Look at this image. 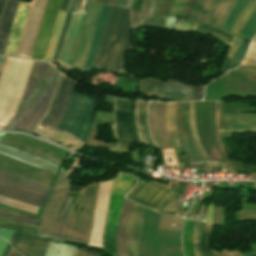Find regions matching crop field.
I'll list each match as a JSON object with an SVG mask.
<instances>
[{
	"instance_id": "1",
	"label": "crop field",
	"mask_w": 256,
	"mask_h": 256,
	"mask_svg": "<svg viewBox=\"0 0 256 256\" xmlns=\"http://www.w3.org/2000/svg\"><path fill=\"white\" fill-rule=\"evenodd\" d=\"M58 76L48 63L35 61L19 109L4 130L31 134L48 108Z\"/></svg>"
},
{
	"instance_id": "2",
	"label": "crop field",
	"mask_w": 256,
	"mask_h": 256,
	"mask_svg": "<svg viewBox=\"0 0 256 256\" xmlns=\"http://www.w3.org/2000/svg\"><path fill=\"white\" fill-rule=\"evenodd\" d=\"M69 176V173H61L56 189L45 212L38 234L58 239L61 238L69 207L73 199H68V203L64 211L68 192L71 186V184L67 182Z\"/></svg>"
},
{
	"instance_id": "3",
	"label": "crop field",
	"mask_w": 256,
	"mask_h": 256,
	"mask_svg": "<svg viewBox=\"0 0 256 256\" xmlns=\"http://www.w3.org/2000/svg\"><path fill=\"white\" fill-rule=\"evenodd\" d=\"M96 101L73 92L66 115L57 129L69 132L86 142Z\"/></svg>"
},
{
	"instance_id": "4",
	"label": "crop field",
	"mask_w": 256,
	"mask_h": 256,
	"mask_svg": "<svg viewBox=\"0 0 256 256\" xmlns=\"http://www.w3.org/2000/svg\"><path fill=\"white\" fill-rule=\"evenodd\" d=\"M134 176H127L118 173L112 182L109 206L107 211L104 235L103 249L115 256V235L118 223L122 197L132 186Z\"/></svg>"
},
{
	"instance_id": "5",
	"label": "crop field",
	"mask_w": 256,
	"mask_h": 256,
	"mask_svg": "<svg viewBox=\"0 0 256 256\" xmlns=\"http://www.w3.org/2000/svg\"><path fill=\"white\" fill-rule=\"evenodd\" d=\"M112 30L101 68L120 71L122 52L131 46L129 10L119 9Z\"/></svg>"
},
{
	"instance_id": "6",
	"label": "crop field",
	"mask_w": 256,
	"mask_h": 256,
	"mask_svg": "<svg viewBox=\"0 0 256 256\" xmlns=\"http://www.w3.org/2000/svg\"><path fill=\"white\" fill-rule=\"evenodd\" d=\"M235 2L236 0H197L188 19L194 21L203 7L196 22L219 29Z\"/></svg>"
},
{
	"instance_id": "7",
	"label": "crop field",
	"mask_w": 256,
	"mask_h": 256,
	"mask_svg": "<svg viewBox=\"0 0 256 256\" xmlns=\"http://www.w3.org/2000/svg\"><path fill=\"white\" fill-rule=\"evenodd\" d=\"M72 12H68L61 34H60V38L53 56V61H57L58 56H59V52L63 43V39L66 33V29L70 20V16H71ZM86 13H80V12H73L72 16H71V20L67 29V33L64 39V43L60 52V56H59V61L61 64H65V65H70L71 59H72V55L77 43V39L83 24V20L85 17ZM59 63V62H58Z\"/></svg>"
},
{
	"instance_id": "8",
	"label": "crop field",
	"mask_w": 256,
	"mask_h": 256,
	"mask_svg": "<svg viewBox=\"0 0 256 256\" xmlns=\"http://www.w3.org/2000/svg\"><path fill=\"white\" fill-rule=\"evenodd\" d=\"M102 6L101 4L88 2L87 14L70 67L79 69L84 67Z\"/></svg>"
},
{
	"instance_id": "9",
	"label": "crop field",
	"mask_w": 256,
	"mask_h": 256,
	"mask_svg": "<svg viewBox=\"0 0 256 256\" xmlns=\"http://www.w3.org/2000/svg\"><path fill=\"white\" fill-rule=\"evenodd\" d=\"M204 87L195 88L143 79V94L168 99H201Z\"/></svg>"
},
{
	"instance_id": "10",
	"label": "crop field",
	"mask_w": 256,
	"mask_h": 256,
	"mask_svg": "<svg viewBox=\"0 0 256 256\" xmlns=\"http://www.w3.org/2000/svg\"><path fill=\"white\" fill-rule=\"evenodd\" d=\"M0 171L21 177L23 179L52 187L55 175L24 165L0 155Z\"/></svg>"
},
{
	"instance_id": "11",
	"label": "crop field",
	"mask_w": 256,
	"mask_h": 256,
	"mask_svg": "<svg viewBox=\"0 0 256 256\" xmlns=\"http://www.w3.org/2000/svg\"><path fill=\"white\" fill-rule=\"evenodd\" d=\"M132 105L133 101L116 99L115 117L120 147H129L130 141H136Z\"/></svg>"
},
{
	"instance_id": "12",
	"label": "crop field",
	"mask_w": 256,
	"mask_h": 256,
	"mask_svg": "<svg viewBox=\"0 0 256 256\" xmlns=\"http://www.w3.org/2000/svg\"><path fill=\"white\" fill-rule=\"evenodd\" d=\"M64 0H48L43 19L30 58L42 59L45 46L56 15L55 10H61Z\"/></svg>"
},
{
	"instance_id": "13",
	"label": "crop field",
	"mask_w": 256,
	"mask_h": 256,
	"mask_svg": "<svg viewBox=\"0 0 256 256\" xmlns=\"http://www.w3.org/2000/svg\"><path fill=\"white\" fill-rule=\"evenodd\" d=\"M74 85L75 83L61 77L55 101L43 125L56 128L65 115Z\"/></svg>"
},
{
	"instance_id": "14",
	"label": "crop field",
	"mask_w": 256,
	"mask_h": 256,
	"mask_svg": "<svg viewBox=\"0 0 256 256\" xmlns=\"http://www.w3.org/2000/svg\"><path fill=\"white\" fill-rule=\"evenodd\" d=\"M216 122L219 130H241L256 132V114L221 113L220 102H217Z\"/></svg>"
},
{
	"instance_id": "15",
	"label": "crop field",
	"mask_w": 256,
	"mask_h": 256,
	"mask_svg": "<svg viewBox=\"0 0 256 256\" xmlns=\"http://www.w3.org/2000/svg\"><path fill=\"white\" fill-rule=\"evenodd\" d=\"M188 102L177 103L176 124L182 149L189 162L201 161L191 140L187 124Z\"/></svg>"
},
{
	"instance_id": "16",
	"label": "crop field",
	"mask_w": 256,
	"mask_h": 256,
	"mask_svg": "<svg viewBox=\"0 0 256 256\" xmlns=\"http://www.w3.org/2000/svg\"><path fill=\"white\" fill-rule=\"evenodd\" d=\"M0 195L34 206L43 207L47 195L0 180Z\"/></svg>"
},
{
	"instance_id": "17",
	"label": "crop field",
	"mask_w": 256,
	"mask_h": 256,
	"mask_svg": "<svg viewBox=\"0 0 256 256\" xmlns=\"http://www.w3.org/2000/svg\"><path fill=\"white\" fill-rule=\"evenodd\" d=\"M132 203L125 200L121 212L120 224L117 235L118 256L126 255V235ZM128 256H139L138 243H127Z\"/></svg>"
},
{
	"instance_id": "18",
	"label": "crop field",
	"mask_w": 256,
	"mask_h": 256,
	"mask_svg": "<svg viewBox=\"0 0 256 256\" xmlns=\"http://www.w3.org/2000/svg\"><path fill=\"white\" fill-rule=\"evenodd\" d=\"M30 7L19 3L3 54L15 56Z\"/></svg>"
},
{
	"instance_id": "19",
	"label": "crop field",
	"mask_w": 256,
	"mask_h": 256,
	"mask_svg": "<svg viewBox=\"0 0 256 256\" xmlns=\"http://www.w3.org/2000/svg\"><path fill=\"white\" fill-rule=\"evenodd\" d=\"M96 186H97V184L87 186L82 216H81L80 224H79V227H78V230L76 233V237L74 240L76 242L86 244L88 231H89V227H90V219H91L93 202H94V197H95V192H96Z\"/></svg>"
},
{
	"instance_id": "20",
	"label": "crop field",
	"mask_w": 256,
	"mask_h": 256,
	"mask_svg": "<svg viewBox=\"0 0 256 256\" xmlns=\"http://www.w3.org/2000/svg\"><path fill=\"white\" fill-rule=\"evenodd\" d=\"M5 133H0V138L4 135ZM0 153L7 155L9 157L15 158L17 160L26 162L28 164L34 165L36 167L42 168L44 170L50 171L54 174H57V169L59 166L54 165L44 159H41L39 157L33 156L31 154H28L24 151L6 146L4 144L0 143Z\"/></svg>"
},
{
	"instance_id": "21",
	"label": "crop field",
	"mask_w": 256,
	"mask_h": 256,
	"mask_svg": "<svg viewBox=\"0 0 256 256\" xmlns=\"http://www.w3.org/2000/svg\"><path fill=\"white\" fill-rule=\"evenodd\" d=\"M171 191L149 182L141 191H139L131 200L153 209L159 204Z\"/></svg>"
},
{
	"instance_id": "22",
	"label": "crop field",
	"mask_w": 256,
	"mask_h": 256,
	"mask_svg": "<svg viewBox=\"0 0 256 256\" xmlns=\"http://www.w3.org/2000/svg\"><path fill=\"white\" fill-rule=\"evenodd\" d=\"M212 225L196 221L194 230L195 256H212L209 250Z\"/></svg>"
},
{
	"instance_id": "23",
	"label": "crop field",
	"mask_w": 256,
	"mask_h": 256,
	"mask_svg": "<svg viewBox=\"0 0 256 256\" xmlns=\"http://www.w3.org/2000/svg\"><path fill=\"white\" fill-rule=\"evenodd\" d=\"M48 242L23 233L15 248L24 256H43Z\"/></svg>"
},
{
	"instance_id": "24",
	"label": "crop field",
	"mask_w": 256,
	"mask_h": 256,
	"mask_svg": "<svg viewBox=\"0 0 256 256\" xmlns=\"http://www.w3.org/2000/svg\"><path fill=\"white\" fill-rule=\"evenodd\" d=\"M18 1L8 0L0 23V54L3 53L6 40L15 16Z\"/></svg>"
},
{
	"instance_id": "25",
	"label": "crop field",
	"mask_w": 256,
	"mask_h": 256,
	"mask_svg": "<svg viewBox=\"0 0 256 256\" xmlns=\"http://www.w3.org/2000/svg\"><path fill=\"white\" fill-rule=\"evenodd\" d=\"M111 6L104 5L84 68L92 67Z\"/></svg>"
},
{
	"instance_id": "26",
	"label": "crop field",
	"mask_w": 256,
	"mask_h": 256,
	"mask_svg": "<svg viewBox=\"0 0 256 256\" xmlns=\"http://www.w3.org/2000/svg\"><path fill=\"white\" fill-rule=\"evenodd\" d=\"M176 103H166L165 128L170 148L180 147L175 133Z\"/></svg>"
},
{
	"instance_id": "27",
	"label": "crop field",
	"mask_w": 256,
	"mask_h": 256,
	"mask_svg": "<svg viewBox=\"0 0 256 256\" xmlns=\"http://www.w3.org/2000/svg\"><path fill=\"white\" fill-rule=\"evenodd\" d=\"M143 210H144L143 207L133 203L128 235H127V242H138V235H139Z\"/></svg>"
},
{
	"instance_id": "28",
	"label": "crop field",
	"mask_w": 256,
	"mask_h": 256,
	"mask_svg": "<svg viewBox=\"0 0 256 256\" xmlns=\"http://www.w3.org/2000/svg\"><path fill=\"white\" fill-rule=\"evenodd\" d=\"M66 13L67 12H61V11L58 12V15H57V18L55 21V25H54V28H53V31H52V34H51V37H50V40H49V43L47 46V50H46L43 60L50 61L52 59Z\"/></svg>"
},
{
	"instance_id": "29",
	"label": "crop field",
	"mask_w": 256,
	"mask_h": 256,
	"mask_svg": "<svg viewBox=\"0 0 256 256\" xmlns=\"http://www.w3.org/2000/svg\"><path fill=\"white\" fill-rule=\"evenodd\" d=\"M144 107H145V102H135L134 115L136 120L139 142L145 143L148 145L145 127H144Z\"/></svg>"
},
{
	"instance_id": "30",
	"label": "crop field",
	"mask_w": 256,
	"mask_h": 256,
	"mask_svg": "<svg viewBox=\"0 0 256 256\" xmlns=\"http://www.w3.org/2000/svg\"><path fill=\"white\" fill-rule=\"evenodd\" d=\"M75 207L72 204L69 217L67 219L66 225L63 230L62 238L63 240H74L75 232L78 227L80 215L74 213Z\"/></svg>"
},
{
	"instance_id": "31",
	"label": "crop field",
	"mask_w": 256,
	"mask_h": 256,
	"mask_svg": "<svg viewBox=\"0 0 256 256\" xmlns=\"http://www.w3.org/2000/svg\"><path fill=\"white\" fill-rule=\"evenodd\" d=\"M195 111H196V102H190L189 123L192 131L194 143L202 161H206L208 159L199 143V136H198L197 127L195 123Z\"/></svg>"
},
{
	"instance_id": "32",
	"label": "crop field",
	"mask_w": 256,
	"mask_h": 256,
	"mask_svg": "<svg viewBox=\"0 0 256 256\" xmlns=\"http://www.w3.org/2000/svg\"><path fill=\"white\" fill-rule=\"evenodd\" d=\"M0 212L10 214V215H14V216H18V217H22V218H26V219H30V220H34L36 222L38 220V217L23 214V213L16 212V211L9 210V209L2 208V207H0ZM2 213H0V218H4V219H7V220H11V221H15V222H19V223H23V224H27V225H31V226L36 227V222H34V221H30V220H26V219L14 217V216L2 214Z\"/></svg>"
},
{
	"instance_id": "33",
	"label": "crop field",
	"mask_w": 256,
	"mask_h": 256,
	"mask_svg": "<svg viewBox=\"0 0 256 256\" xmlns=\"http://www.w3.org/2000/svg\"><path fill=\"white\" fill-rule=\"evenodd\" d=\"M250 0H237L236 4L234 5L233 9L231 10L228 18L223 23L221 30L229 32L231 28L234 26L235 22L237 21L241 11L246 6V4Z\"/></svg>"
},
{
	"instance_id": "34",
	"label": "crop field",
	"mask_w": 256,
	"mask_h": 256,
	"mask_svg": "<svg viewBox=\"0 0 256 256\" xmlns=\"http://www.w3.org/2000/svg\"><path fill=\"white\" fill-rule=\"evenodd\" d=\"M77 248L64 244L49 243L45 256H74Z\"/></svg>"
},
{
	"instance_id": "35",
	"label": "crop field",
	"mask_w": 256,
	"mask_h": 256,
	"mask_svg": "<svg viewBox=\"0 0 256 256\" xmlns=\"http://www.w3.org/2000/svg\"><path fill=\"white\" fill-rule=\"evenodd\" d=\"M116 8L117 7H114V6L111 7L110 14H109V17H108V20H107V23H106V27H105V30H104V33H103V37H102V40H101L99 50H98V53H97V56H96L95 63H94L93 67H97V68L99 67V64H100V61H101V58H102V54H103V51H104V48H105V45H106V42H107V39H108L110 29H111V25H112V22H113V18H114L115 12H116Z\"/></svg>"
},
{
	"instance_id": "36",
	"label": "crop field",
	"mask_w": 256,
	"mask_h": 256,
	"mask_svg": "<svg viewBox=\"0 0 256 256\" xmlns=\"http://www.w3.org/2000/svg\"><path fill=\"white\" fill-rule=\"evenodd\" d=\"M194 221L185 219L183 227V253L185 256H194L192 252V229Z\"/></svg>"
},
{
	"instance_id": "37",
	"label": "crop field",
	"mask_w": 256,
	"mask_h": 256,
	"mask_svg": "<svg viewBox=\"0 0 256 256\" xmlns=\"http://www.w3.org/2000/svg\"><path fill=\"white\" fill-rule=\"evenodd\" d=\"M156 0H143L141 13L131 11L132 26L138 25V19L151 17L153 15Z\"/></svg>"
},
{
	"instance_id": "38",
	"label": "crop field",
	"mask_w": 256,
	"mask_h": 256,
	"mask_svg": "<svg viewBox=\"0 0 256 256\" xmlns=\"http://www.w3.org/2000/svg\"><path fill=\"white\" fill-rule=\"evenodd\" d=\"M0 179L6 180V181H9L12 183H16V184H19V185H22V186H25V187H28V188H31L34 190H38V191H41V192H44L47 194L50 191V188H47V187H44V186L29 182V181H26V180H23V179H20V178H17V177L8 175V174H5L2 172H0Z\"/></svg>"
},
{
	"instance_id": "39",
	"label": "crop field",
	"mask_w": 256,
	"mask_h": 256,
	"mask_svg": "<svg viewBox=\"0 0 256 256\" xmlns=\"http://www.w3.org/2000/svg\"><path fill=\"white\" fill-rule=\"evenodd\" d=\"M256 7V0H251L240 15L236 25L232 28L230 33L239 34L245 25L247 19Z\"/></svg>"
},
{
	"instance_id": "40",
	"label": "crop field",
	"mask_w": 256,
	"mask_h": 256,
	"mask_svg": "<svg viewBox=\"0 0 256 256\" xmlns=\"http://www.w3.org/2000/svg\"><path fill=\"white\" fill-rule=\"evenodd\" d=\"M193 30L215 35L220 39H222L223 41L227 42L229 45L232 42L233 38L235 37L234 34L226 33V32H223L211 27L203 26L197 23H195Z\"/></svg>"
},
{
	"instance_id": "41",
	"label": "crop field",
	"mask_w": 256,
	"mask_h": 256,
	"mask_svg": "<svg viewBox=\"0 0 256 256\" xmlns=\"http://www.w3.org/2000/svg\"><path fill=\"white\" fill-rule=\"evenodd\" d=\"M0 142L5 143V144H9V145H12V146H15V147H18V148H21V149H23V150H25V151H28V152H30V153H33V154H35V155H37V156H40V157H42V158H44V159L50 160V161L55 162V163H57V164H60V163H61L60 160H58V159H56V158H54V157H52V156H50V155H48V154H46V153H43V152L37 151V150H35V149H32V148H29V147H26V146H23V145L14 143V142H12V141H9V140H6V139L1 138V139H0Z\"/></svg>"
},
{
	"instance_id": "42",
	"label": "crop field",
	"mask_w": 256,
	"mask_h": 256,
	"mask_svg": "<svg viewBox=\"0 0 256 256\" xmlns=\"http://www.w3.org/2000/svg\"><path fill=\"white\" fill-rule=\"evenodd\" d=\"M0 226L1 227H5V228H9V229H13V230H17L20 232H24L27 234H31L34 235L35 232V227H31V226H27V225H23V224H19V223H15V222H11V221H7L4 219H0Z\"/></svg>"
},
{
	"instance_id": "43",
	"label": "crop field",
	"mask_w": 256,
	"mask_h": 256,
	"mask_svg": "<svg viewBox=\"0 0 256 256\" xmlns=\"http://www.w3.org/2000/svg\"><path fill=\"white\" fill-rule=\"evenodd\" d=\"M251 39L250 38H245L243 39L242 43L240 44L238 50L236 51L230 65H229V69H232L236 66L239 65L243 55H245L246 51H247V48H248V45L250 43Z\"/></svg>"
},
{
	"instance_id": "44",
	"label": "crop field",
	"mask_w": 256,
	"mask_h": 256,
	"mask_svg": "<svg viewBox=\"0 0 256 256\" xmlns=\"http://www.w3.org/2000/svg\"><path fill=\"white\" fill-rule=\"evenodd\" d=\"M0 203L8 205V206L15 207V208H18V209H22V210H25V211H28V212H32V213H35V214L37 213V211L39 209L38 207H34V206H31V205L24 204V203L14 201V200H11V199H8V198H4V197H1V196H0Z\"/></svg>"
},
{
	"instance_id": "45",
	"label": "crop field",
	"mask_w": 256,
	"mask_h": 256,
	"mask_svg": "<svg viewBox=\"0 0 256 256\" xmlns=\"http://www.w3.org/2000/svg\"><path fill=\"white\" fill-rule=\"evenodd\" d=\"M256 33V9L246 25L244 26L243 30L241 31L240 35L252 38Z\"/></svg>"
},
{
	"instance_id": "46",
	"label": "crop field",
	"mask_w": 256,
	"mask_h": 256,
	"mask_svg": "<svg viewBox=\"0 0 256 256\" xmlns=\"http://www.w3.org/2000/svg\"><path fill=\"white\" fill-rule=\"evenodd\" d=\"M172 2L173 0H162L159 17L169 14V10L172 5Z\"/></svg>"
},
{
	"instance_id": "47",
	"label": "crop field",
	"mask_w": 256,
	"mask_h": 256,
	"mask_svg": "<svg viewBox=\"0 0 256 256\" xmlns=\"http://www.w3.org/2000/svg\"><path fill=\"white\" fill-rule=\"evenodd\" d=\"M193 24H194L193 22L180 19V20L177 21V23L175 24V29H179V30H190V29L192 28Z\"/></svg>"
},
{
	"instance_id": "48",
	"label": "crop field",
	"mask_w": 256,
	"mask_h": 256,
	"mask_svg": "<svg viewBox=\"0 0 256 256\" xmlns=\"http://www.w3.org/2000/svg\"><path fill=\"white\" fill-rule=\"evenodd\" d=\"M177 196V194L175 193H171L168 197H166L158 206H156L154 208V210L160 212L168 203H170L175 197Z\"/></svg>"
},
{
	"instance_id": "49",
	"label": "crop field",
	"mask_w": 256,
	"mask_h": 256,
	"mask_svg": "<svg viewBox=\"0 0 256 256\" xmlns=\"http://www.w3.org/2000/svg\"><path fill=\"white\" fill-rule=\"evenodd\" d=\"M87 1L105 4L107 0H79V4L76 11L86 12Z\"/></svg>"
},
{
	"instance_id": "50",
	"label": "crop field",
	"mask_w": 256,
	"mask_h": 256,
	"mask_svg": "<svg viewBox=\"0 0 256 256\" xmlns=\"http://www.w3.org/2000/svg\"><path fill=\"white\" fill-rule=\"evenodd\" d=\"M242 39H243V37L236 35V37L234 38L233 42L230 45L231 50H230L228 56L233 57V55H234L235 51L237 50L239 44L241 43Z\"/></svg>"
},
{
	"instance_id": "51",
	"label": "crop field",
	"mask_w": 256,
	"mask_h": 256,
	"mask_svg": "<svg viewBox=\"0 0 256 256\" xmlns=\"http://www.w3.org/2000/svg\"><path fill=\"white\" fill-rule=\"evenodd\" d=\"M76 256H103V255L97 251L78 248Z\"/></svg>"
},
{
	"instance_id": "52",
	"label": "crop field",
	"mask_w": 256,
	"mask_h": 256,
	"mask_svg": "<svg viewBox=\"0 0 256 256\" xmlns=\"http://www.w3.org/2000/svg\"><path fill=\"white\" fill-rule=\"evenodd\" d=\"M194 2H195V0H188V3H187V5H186V7H185V9H184V11L181 15V18L187 19L188 15L191 11V7H192Z\"/></svg>"
},
{
	"instance_id": "53",
	"label": "crop field",
	"mask_w": 256,
	"mask_h": 256,
	"mask_svg": "<svg viewBox=\"0 0 256 256\" xmlns=\"http://www.w3.org/2000/svg\"><path fill=\"white\" fill-rule=\"evenodd\" d=\"M14 231L12 230H6L0 228V237L5 239L6 241H9Z\"/></svg>"
},
{
	"instance_id": "54",
	"label": "crop field",
	"mask_w": 256,
	"mask_h": 256,
	"mask_svg": "<svg viewBox=\"0 0 256 256\" xmlns=\"http://www.w3.org/2000/svg\"><path fill=\"white\" fill-rule=\"evenodd\" d=\"M221 255L222 256H244L239 252V250L226 252L225 249L221 250Z\"/></svg>"
},
{
	"instance_id": "55",
	"label": "crop field",
	"mask_w": 256,
	"mask_h": 256,
	"mask_svg": "<svg viewBox=\"0 0 256 256\" xmlns=\"http://www.w3.org/2000/svg\"><path fill=\"white\" fill-rule=\"evenodd\" d=\"M155 17L140 20V25H152L155 26Z\"/></svg>"
},
{
	"instance_id": "56",
	"label": "crop field",
	"mask_w": 256,
	"mask_h": 256,
	"mask_svg": "<svg viewBox=\"0 0 256 256\" xmlns=\"http://www.w3.org/2000/svg\"><path fill=\"white\" fill-rule=\"evenodd\" d=\"M78 0H70L68 4V10L67 11H75L77 6Z\"/></svg>"
},
{
	"instance_id": "57",
	"label": "crop field",
	"mask_w": 256,
	"mask_h": 256,
	"mask_svg": "<svg viewBox=\"0 0 256 256\" xmlns=\"http://www.w3.org/2000/svg\"><path fill=\"white\" fill-rule=\"evenodd\" d=\"M234 71L245 72V73H250V74L256 75V70L243 68V67H239V68L235 69Z\"/></svg>"
},
{
	"instance_id": "58",
	"label": "crop field",
	"mask_w": 256,
	"mask_h": 256,
	"mask_svg": "<svg viewBox=\"0 0 256 256\" xmlns=\"http://www.w3.org/2000/svg\"><path fill=\"white\" fill-rule=\"evenodd\" d=\"M176 18L174 17H168L166 24L164 27L173 29V24Z\"/></svg>"
},
{
	"instance_id": "59",
	"label": "crop field",
	"mask_w": 256,
	"mask_h": 256,
	"mask_svg": "<svg viewBox=\"0 0 256 256\" xmlns=\"http://www.w3.org/2000/svg\"><path fill=\"white\" fill-rule=\"evenodd\" d=\"M242 65L256 67V61L245 59Z\"/></svg>"
},
{
	"instance_id": "60",
	"label": "crop field",
	"mask_w": 256,
	"mask_h": 256,
	"mask_svg": "<svg viewBox=\"0 0 256 256\" xmlns=\"http://www.w3.org/2000/svg\"><path fill=\"white\" fill-rule=\"evenodd\" d=\"M129 148H109L111 152H128Z\"/></svg>"
},
{
	"instance_id": "61",
	"label": "crop field",
	"mask_w": 256,
	"mask_h": 256,
	"mask_svg": "<svg viewBox=\"0 0 256 256\" xmlns=\"http://www.w3.org/2000/svg\"><path fill=\"white\" fill-rule=\"evenodd\" d=\"M134 151V150H133ZM132 157H133V160L136 162V163H139V153H138V149H136L134 152H132Z\"/></svg>"
},
{
	"instance_id": "62",
	"label": "crop field",
	"mask_w": 256,
	"mask_h": 256,
	"mask_svg": "<svg viewBox=\"0 0 256 256\" xmlns=\"http://www.w3.org/2000/svg\"><path fill=\"white\" fill-rule=\"evenodd\" d=\"M166 17L167 16H165V17H161V18H157L158 19V21H157V25L156 26H160V27H163L164 26V24H165V21H166Z\"/></svg>"
},
{
	"instance_id": "63",
	"label": "crop field",
	"mask_w": 256,
	"mask_h": 256,
	"mask_svg": "<svg viewBox=\"0 0 256 256\" xmlns=\"http://www.w3.org/2000/svg\"><path fill=\"white\" fill-rule=\"evenodd\" d=\"M219 207L215 208L213 223L218 224Z\"/></svg>"
},
{
	"instance_id": "64",
	"label": "crop field",
	"mask_w": 256,
	"mask_h": 256,
	"mask_svg": "<svg viewBox=\"0 0 256 256\" xmlns=\"http://www.w3.org/2000/svg\"><path fill=\"white\" fill-rule=\"evenodd\" d=\"M6 244H8V243L0 239V256L3 252V250L5 249Z\"/></svg>"
},
{
	"instance_id": "65",
	"label": "crop field",
	"mask_w": 256,
	"mask_h": 256,
	"mask_svg": "<svg viewBox=\"0 0 256 256\" xmlns=\"http://www.w3.org/2000/svg\"><path fill=\"white\" fill-rule=\"evenodd\" d=\"M137 92L142 93V78L138 80Z\"/></svg>"
},
{
	"instance_id": "66",
	"label": "crop field",
	"mask_w": 256,
	"mask_h": 256,
	"mask_svg": "<svg viewBox=\"0 0 256 256\" xmlns=\"http://www.w3.org/2000/svg\"><path fill=\"white\" fill-rule=\"evenodd\" d=\"M7 256H22V255L16 253V252L12 249V247H11V249H10V251H9V253H8Z\"/></svg>"
},
{
	"instance_id": "67",
	"label": "crop field",
	"mask_w": 256,
	"mask_h": 256,
	"mask_svg": "<svg viewBox=\"0 0 256 256\" xmlns=\"http://www.w3.org/2000/svg\"><path fill=\"white\" fill-rule=\"evenodd\" d=\"M160 3H161V0H157V4H156V8H155V11H154V15H153V16H157Z\"/></svg>"
},
{
	"instance_id": "68",
	"label": "crop field",
	"mask_w": 256,
	"mask_h": 256,
	"mask_svg": "<svg viewBox=\"0 0 256 256\" xmlns=\"http://www.w3.org/2000/svg\"><path fill=\"white\" fill-rule=\"evenodd\" d=\"M118 2H119V0H108L107 4L117 6Z\"/></svg>"
},
{
	"instance_id": "69",
	"label": "crop field",
	"mask_w": 256,
	"mask_h": 256,
	"mask_svg": "<svg viewBox=\"0 0 256 256\" xmlns=\"http://www.w3.org/2000/svg\"><path fill=\"white\" fill-rule=\"evenodd\" d=\"M21 234H22V233L19 232L18 235H17V237H16V239H15V241L13 242L12 245H13L14 247H15L16 243L18 242V240H19Z\"/></svg>"
},
{
	"instance_id": "70",
	"label": "crop field",
	"mask_w": 256,
	"mask_h": 256,
	"mask_svg": "<svg viewBox=\"0 0 256 256\" xmlns=\"http://www.w3.org/2000/svg\"><path fill=\"white\" fill-rule=\"evenodd\" d=\"M5 0H0V15L3 9V5H4Z\"/></svg>"
},
{
	"instance_id": "71",
	"label": "crop field",
	"mask_w": 256,
	"mask_h": 256,
	"mask_svg": "<svg viewBox=\"0 0 256 256\" xmlns=\"http://www.w3.org/2000/svg\"><path fill=\"white\" fill-rule=\"evenodd\" d=\"M131 0H126L125 4H124V9L128 8L129 4H130Z\"/></svg>"
},
{
	"instance_id": "72",
	"label": "crop field",
	"mask_w": 256,
	"mask_h": 256,
	"mask_svg": "<svg viewBox=\"0 0 256 256\" xmlns=\"http://www.w3.org/2000/svg\"><path fill=\"white\" fill-rule=\"evenodd\" d=\"M17 233H18V232L15 231L14 234H13V236H12V238H11V240L9 241L11 244H12V242L14 241V239H15Z\"/></svg>"
},
{
	"instance_id": "73",
	"label": "crop field",
	"mask_w": 256,
	"mask_h": 256,
	"mask_svg": "<svg viewBox=\"0 0 256 256\" xmlns=\"http://www.w3.org/2000/svg\"><path fill=\"white\" fill-rule=\"evenodd\" d=\"M9 249H10V246L8 245L7 246V248L5 249V251H4V253H3V255L2 256H6V254L8 253V251H9Z\"/></svg>"
},
{
	"instance_id": "74",
	"label": "crop field",
	"mask_w": 256,
	"mask_h": 256,
	"mask_svg": "<svg viewBox=\"0 0 256 256\" xmlns=\"http://www.w3.org/2000/svg\"><path fill=\"white\" fill-rule=\"evenodd\" d=\"M68 1H69V0H65L62 10L66 11V6H67V4H68Z\"/></svg>"
},
{
	"instance_id": "75",
	"label": "crop field",
	"mask_w": 256,
	"mask_h": 256,
	"mask_svg": "<svg viewBox=\"0 0 256 256\" xmlns=\"http://www.w3.org/2000/svg\"><path fill=\"white\" fill-rule=\"evenodd\" d=\"M124 2H125V0H120V2H119V7H123V4H124Z\"/></svg>"
},
{
	"instance_id": "76",
	"label": "crop field",
	"mask_w": 256,
	"mask_h": 256,
	"mask_svg": "<svg viewBox=\"0 0 256 256\" xmlns=\"http://www.w3.org/2000/svg\"><path fill=\"white\" fill-rule=\"evenodd\" d=\"M3 58H4V57H1V56H0V67H1V64H2V61H3Z\"/></svg>"
}]
</instances>
